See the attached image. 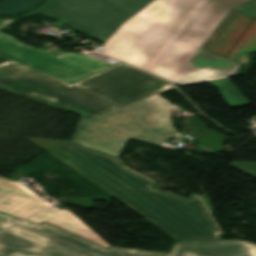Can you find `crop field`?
I'll list each match as a JSON object with an SVG mask.
<instances>
[{
	"mask_svg": "<svg viewBox=\"0 0 256 256\" xmlns=\"http://www.w3.org/2000/svg\"><path fill=\"white\" fill-rule=\"evenodd\" d=\"M200 196L203 198L204 202L206 203L207 207L209 208V210L211 211V213H212V215H213L214 210H213V208H212V206H211V203H210V201H209L208 195H207V194H204V195H200Z\"/></svg>",
	"mask_w": 256,
	"mask_h": 256,
	"instance_id": "d9b57169",
	"label": "crop field"
},
{
	"mask_svg": "<svg viewBox=\"0 0 256 256\" xmlns=\"http://www.w3.org/2000/svg\"><path fill=\"white\" fill-rule=\"evenodd\" d=\"M0 55L70 83L111 66L92 57L77 54H62L56 57L1 32Z\"/></svg>",
	"mask_w": 256,
	"mask_h": 256,
	"instance_id": "e52e79f7",
	"label": "crop field"
},
{
	"mask_svg": "<svg viewBox=\"0 0 256 256\" xmlns=\"http://www.w3.org/2000/svg\"><path fill=\"white\" fill-rule=\"evenodd\" d=\"M74 85L92 91L119 107L172 87L168 82L123 63Z\"/></svg>",
	"mask_w": 256,
	"mask_h": 256,
	"instance_id": "d8731c3e",
	"label": "crop field"
},
{
	"mask_svg": "<svg viewBox=\"0 0 256 256\" xmlns=\"http://www.w3.org/2000/svg\"><path fill=\"white\" fill-rule=\"evenodd\" d=\"M229 165L252 177H256V162H233Z\"/></svg>",
	"mask_w": 256,
	"mask_h": 256,
	"instance_id": "cbeb9de0",
	"label": "crop field"
},
{
	"mask_svg": "<svg viewBox=\"0 0 256 256\" xmlns=\"http://www.w3.org/2000/svg\"><path fill=\"white\" fill-rule=\"evenodd\" d=\"M42 0H4L0 2V15H13L39 4Z\"/></svg>",
	"mask_w": 256,
	"mask_h": 256,
	"instance_id": "22f410ed",
	"label": "crop field"
},
{
	"mask_svg": "<svg viewBox=\"0 0 256 256\" xmlns=\"http://www.w3.org/2000/svg\"><path fill=\"white\" fill-rule=\"evenodd\" d=\"M234 10L235 11H231L228 18L226 17L227 19L218 28V30L214 33V35L209 39V41L204 45L203 49L208 50L215 54L226 56L227 52L232 48L235 41L241 36V34L246 29V27L252 21V18L256 17V0H251ZM238 12L243 13L252 18L242 15ZM235 14L237 15L235 18H233ZM236 30L238 31L233 36V38L229 41V39L232 37V35L235 33ZM228 32L230 33L227 35V37L224 39V41L221 43L218 49L215 50ZM228 41L229 43L226 45ZM225 45L226 47L223 49ZM222 49L223 51L221 52ZM255 51H256V20H254V22L251 24V26L248 28V30L245 32V34L242 36V38L239 40L236 46L229 53L227 58L233 61L242 63V61L246 56L245 54L255 52Z\"/></svg>",
	"mask_w": 256,
	"mask_h": 256,
	"instance_id": "5a996713",
	"label": "crop field"
},
{
	"mask_svg": "<svg viewBox=\"0 0 256 256\" xmlns=\"http://www.w3.org/2000/svg\"><path fill=\"white\" fill-rule=\"evenodd\" d=\"M16 20L14 19H0V29L15 22Z\"/></svg>",
	"mask_w": 256,
	"mask_h": 256,
	"instance_id": "733c2abd",
	"label": "crop field"
},
{
	"mask_svg": "<svg viewBox=\"0 0 256 256\" xmlns=\"http://www.w3.org/2000/svg\"><path fill=\"white\" fill-rule=\"evenodd\" d=\"M105 248L46 222L25 220L0 233L4 256H256L255 245L237 240L180 241L170 254Z\"/></svg>",
	"mask_w": 256,
	"mask_h": 256,
	"instance_id": "34b2d1b8",
	"label": "crop field"
},
{
	"mask_svg": "<svg viewBox=\"0 0 256 256\" xmlns=\"http://www.w3.org/2000/svg\"><path fill=\"white\" fill-rule=\"evenodd\" d=\"M50 204L20 183L0 177V213L27 218Z\"/></svg>",
	"mask_w": 256,
	"mask_h": 256,
	"instance_id": "3316defc",
	"label": "crop field"
},
{
	"mask_svg": "<svg viewBox=\"0 0 256 256\" xmlns=\"http://www.w3.org/2000/svg\"><path fill=\"white\" fill-rule=\"evenodd\" d=\"M248 0H156L124 24L106 55L172 82L235 75L239 63L200 49L230 9Z\"/></svg>",
	"mask_w": 256,
	"mask_h": 256,
	"instance_id": "8a807250",
	"label": "crop field"
},
{
	"mask_svg": "<svg viewBox=\"0 0 256 256\" xmlns=\"http://www.w3.org/2000/svg\"><path fill=\"white\" fill-rule=\"evenodd\" d=\"M175 240L222 239L198 197L184 200L153 188L117 158L69 141L28 138Z\"/></svg>",
	"mask_w": 256,
	"mask_h": 256,
	"instance_id": "ac0d7876",
	"label": "crop field"
},
{
	"mask_svg": "<svg viewBox=\"0 0 256 256\" xmlns=\"http://www.w3.org/2000/svg\"><path fill=\"white\" fill-rule=\"evenodd\" d=\"M213 86L221 91L222 97L225 99L230 108L249 105V101L232 85L228 80H220L211 82Z\"/></svg>",
	"mask_w": 256,
	"mask_h": 256,
	"instance_id": "d1516ede",
	"label": "crop field"
},
{
	"mask_svg": "<svg viewBox=\"0 0 256 256\" xmlns=\"http://www.w3.org/2000/svg\"><path fill=\"white\" fill-rule=\"evenodd\" d=\"M27 220L37 224L46 221L59 228L76 234L103 247H109L99 236L89 229L83 222L68 210H60L54 206L28 218Z\"/></svg>",
	"mask_w": 256,
	"mask_h": 256,
	"instance_id": "28ad6ade",
	"label": "crop field"
},
{
	"mask_svg": "<svg viewBox=\"0 0 256 256\" xmlns=\"http://www.w3.org/2000/svg\"><path fill=\"white\" fill-rule=\"evenodd\" d=\"M172 105L153 95L89 119L80 117L72 142L119 157L129 139L159 145L177 132Z\"/></svg>",
	"mask_w": 256,
	"mask_h": 256,
	"instance_id": "412701ff",
	"label": "crop field"
},
{
	"mask_svg": "<svg viewBox=\"0 0 256 256\" xmlns=\"http://www.w3.org/2000/svg\"><path fill=\"white\" fill-rule=\"evenodd\" d=\"M0 87L88 117L115 108L87 90L14 62L0 65Z\"/></svg>",
	"mask_w": 256,
	"mask_h": 256,
	"instance_id": "dd49c442",
	"label": "crop field"
},
{
	"mask_svg": "<svg viewBox=\"0 0 256 256\" xmlns=\"http://www.w3.org/2000/svg\"><path fill=\"white\" fill-rule=\"evenodd\" d=\"M110 104V103H109ZM112 105V104H111ZM114 106V105H113Z\"/></svg>",
	"mask_w": 256,
	"mask_h": 256,
	"instance_id": "bc2a9ffb",
	"label": "crop field"
},
{
	"mask_svg": "<svg viewBox=\"0 0 256 256\" xmlns=\"http://www.w3.org/2000/svg\"><path fill=\"white\" fill-rule=\"evenodd\" d=\"M12 219L14 218L0 214V231L12 225L11 223H9Z\"/></svg>",
	"mask_w": 256,
	"mask_h": 256,
	"instance_id": "5142ce71",
	"label": "crop field"
},
{
	"mask_svg": "<svg viewBox=\"0 0 256 256\" xmlns=\"http://www.w3.org/2000/svg\"><path fill=\"white\" fill-rule=\"evenodd\" d=\"M10 59L5 58L3 56H0V63L4 62V61H9Z\"/></svg>",
	"mask_w": 256,
	"mask_h": 256,
	"instance_id": "4a817a6b",
	"label": "crop field"
},
{
	"mask_svg": "<svg viewBox=\"0 0 256 256\" xmlns=\"http://www.w3.org/2000/svg\"><path fill=\"white\" fill-rule=\"evenodd\" d=\"M154 0H49L35 13L66 23L106 43L118 28Z\"/></svg>",
	"mask_w": 256,
	"mask_h": 256,
	"instance_id": "f4fd0767",
	"label": "crop field"
}]
</instances>
